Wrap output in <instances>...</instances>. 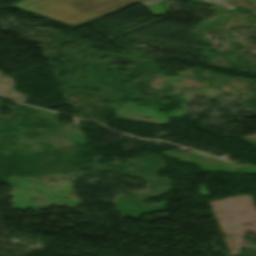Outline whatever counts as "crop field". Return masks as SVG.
Instances as JSON below:
<instances>
[{"label":"crop field","mask_w":256,"mask_h":256,"mask_svg":"<svg viewBox=\"0 0 256 256\" xmlns=\"http://www.w3.org/2000/svg\"><path fill=\"white\" fill-rule=\"evenodd\" d=\"M140 1L143 0H24L13 5L78 27Z\"/></svg>","instance_id":"obj_1"},{"label":"crop field","mask_w":256,"mask_h":256,"mask_svg":"<svg viewBox=\"0 0 256 256\" xmlns=\"http://www.w3.org/2000/svg\"><path fill=\"white\" fill-rule=\"evenodd\" d=\"M161 1H163V0H145V1L140 2V3L143 6H145V7L158 3V4L152 6V7L148 8V9L151 10L155 16H160V15H165V13L159 7V3ZM204 1L205 2H211L210 0H204ZM213 1L216 2L217 4L223 6L226 9H233V8H235L233 5L227 3L226 0H225L226 2L223 1V0H213Z\"/></svg>","instance_id":"obj_2"}]
</instances>
